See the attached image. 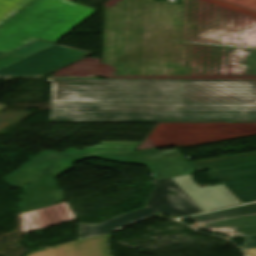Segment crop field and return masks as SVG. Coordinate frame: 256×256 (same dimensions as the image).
I'll use <instances>...</instances> for the list:
<instances>
[{
	"label": "crop field",
	"mask_w": 256,
	"mask_h": 256,
	"mask_svg": "<svg viewBox=\"0 0 256 256\" xmlns=\"http://www.w3.org/2000/svg\"><path fill=\"white\" fill-rule=\"evenodd\" d=\"M52 102L239 103L237 80H53Z\"/></svg>",
	"instance_id": "1"
},
{
	"label": "crop field",
	"mask_w": 256,
	"mask_h": 256,
	"mask_svg": "<svg viewBox=\"0 0 256 256\" xmlns=\"http://www.w3.org/2000/svg\"><path fill=\"white\" fill-rule=\"evenodd\" d=\"M51 122L256 123V104L52 103Z\"/></svg>",
	"instance_id": "2"
},
{
	"label": "crop field",
	"mask_w": 256,
	"mask_h": 256,
	"mask_svg": "<svg viewBox=\"0 0 256 256\" xmlns=\"http://www.w3.org/2000/svg\"><path fill=\"white\" fill-rule=\"evenodd\" d=\"M31 0H0V24ZM97 9L68 0H35L0 30L55 42ZM35 39L0 31V52H11Z\"/></svg>",
	"instance_id": "3"
},
{
	"label": "crop field",
	"mask_w": 256,
	"mask_h": 256,
	"mask_svg": "<svg viewBox=\"0 0 256 256\" xmlns=\"http://www.w3.org/2000/svg\"><path fill=\"white\" fill-rule=\"evenodd\" d=\"M142 142L101 141L100 145L86 147L82 151L68 149L63 153L45 151L4 177L10 186L23 188L24 195H20L18 203L22 212L64 201V193L58 190L55 178L74 167L72 164L85 158H100L115 154L134 152ZM41 178L25 187L27 183L41 176ZM15 176V178H13ZM25 185V186H24ZM41 187V189H39ZM47 199L49 201H44Z\"/></svg>",
	"instance_id": "4"
},
{
	"label": "crop field",
	"mask_w": 256,
	"mask_h": 256,
	"mask_svg": "<svg viewBox=\"0 0 256 256\" xmlns=\"http://www.w3.org/2000/svg\"><path fill=\"white\" fill-rule=\"evenodd\" d=\"M153 183L155 187L145 208L123 214L99 225L79 223L78 239L111 233L140 220L153 217L156 213L176 218L203 212L171 178L153 181ZM170 191L177 195H168Z\"/></svg>",
	"instance_id": "5"
},
{
	"label": "crop field",
	"mask_w": 256,
	"mask_h": 256,
	"mask_svg": "<svg viewBox=\"0 0 256 256\" xmlns=\"http://www.w3.org/2000/svg\"><path fill=\"white\" fill-rule=\"evenodd\" d=\"M195 171L210 169L242 202L256 200V152L192 162Z\"/></svg>",
	"instance_id": "6"
},
{
	"label": "crop field",
	"mask_w": 256,
	"mask_h": 256,
	"mask_svg": "<svg viewBox=\"0 0 256 256\" xmlns=\"http://www.w3.org/2000/svg\"><path fill=\"white\" fill-rule=\"evenodd\" d=\"M92 53L54 45L25 59L8 54L0 58V76H45Z\"/></svg>",
	"instance_id": "7"
},
{
	"label": "crop field",
	"mask_w": 256,
	"mask_h": 256,
	"mask_svg": "<svg viewBox=\"0 0 256 256\" xmlns=\"http://www.w3.org/2000/svg\"><path fill=\"white\" fill-rule=\"evenodd\" d=\"M192 177L188 175L172 179L204 212L241 203L223 184L200 188L191 179Z\"/></svg>",
	"instance_id": "8"
},
{
	"label": "crop field",
	"mask_w": 256,
	"mask_h": 256,
	"mask_svg": "<svg viewBox=\"0 0 256 256\" xmlns=\"http://www.w3.org/2000/svg\"><path fill=\"white\" fill-rule=\"evenodd\" d=\"M67 203L22 214V234L75 221Z\"/></svg>",
	"instance_id": "9"
},
{
	"label": "crop field",
	"mask_w": 256,
	"mask_h": 256,
	"mask_svg": "<svg viewBox=\"0 0 256 256\" xmlns=\"http://www.w3.org/2000/svg\"><path fill=\"white\" fill-rule=\"evenodd\" d=\"M113 234L82 239L78 245L51 249L52 256H110L108 241Z\"/></svg>",
	"instance_id": "10"
},
{
	"label": "crop field",
	"mask_w": 256,
	"mask_h": 256,
	"mask_svg": "<svg viewBox=\"0 0 256 256\" xmlns=\"http://www.w3.org/2000/svg\"><path fill=\"white\" fill-rule=\"evenodd\" d=\"M134 165H142L148 167L154 175V180L188 175L195 172L184 158V156L142 162Z\"/></svg>",
	"instance_id": "11"
},
{
	"label": "crop field",
	"mask_w": 256,
	"mask_h": 256,
	"mask_svg": "<svg viewBox=\"0 0 256 256\" xmlns=\"http://www.w3.org/2000/svg\"><path fill=\"white\" fill-rule=\"evenodd\" d=\"M198 225L203 229L221 232L230 237L256 235V216L220 220Z\"/></svg>",
	"instance_id": "12"
},
{
	"label": "crop field",
	"mask_w": 256,
	"mask_h": 256,
	"mask_svg": "<svg viewBox=\"0 0 256 256\" xmlns=\"http://www.w3.org/2000/svg\"><path fill=\"white\" fill-rule=\"evenodd\" d=\"M178 155H182L178 149L164 151V152H158L156 149H153V150L142 151L137 153L110 156V157H105L100 159L131 164V163L142 162V161H147V160H152V159H157L162 157L178 156Z\"/></svg>",
	"instance_id": "13"
},
{
	"label": "crop field",
	"mask_w": 256,
	"mask_h": 256,
	"mask_svg": "<svg viewBox=\"0 0 256 256\" xmlns=\"http://www.w3.org/2000/svg\"><path fill=\"white\" fill-rule=\"evenodd\" d=\"M254 213H256V203L229 209V210H225V211L194 216L191 218L195 222H202V221H208V220H214V219H220V218H226V217H233V216H240V215H247V214H254Z\"/></svg>",
	"instance_id": "14"
},
{
	"label": "crop field",
	"mask_w": 256,
	"mask_h": 256,
	"mask_svg": "<svg viewBox=\"0 0 256 256\" xmlns=\"http://www.w3.org/2000/svg\"><path fill=\"white\" fill-rule=\"evenodd\" d=\"M240 103H256V80H238Z\"/></svg>",
	"instance_id": "15"
},
{
	"label": "crop field",
	"mask_w": 256,
	"mask_h": 256,
	"mask_svg": "<svg viewBox=\"0 0 256 256\" xmlns=\"http://www.w3.org/2000/svg\"><path fill=\"white\" fill-rule=\"evenodd\" d=\"M54 44H51V43H47V42H43V41H39V40H36L24 47H21L13 52H11V54H14V55H17L19 57H22V58H25L31 54H34L38 51H41L47 47H50Z\"/></svg>",
	"instance_id": "16"
},
{
	"label": "crop field",
	"mask_w": 256,
	"mask_h": 256,
	"mask_svg": "<svg viewBox=\"0 0 256 256\" xmlns=\"http://www.w3.org/2000/svg\"><path fill=\"white\" fill-rule=\"evenodd\" d=\"M80 240L78 241H75V242H71V243H67V244H78ZM63 245H66V244H63ZM59 246H62V245H59ZM55 247H58V246H55ZM51 248H54V247H51ZM51 248H48V249H44L42 251H38L36 253H32V254H29L28 256H47V255H51V251L50 249Z\"/></svg>",
	"instance_id": "17"
},
{
	"label": "crop field",
	"mask_w": 256,
	"mask_h": 256,
	"mask_svg": "<svg viewBox=\"0 0 256 256\" xmlns=\"http://www.w3.org/2000/svg\"><path fill=\"white\" fill-rule=\"evenodd\" d=\"M256 247V236L247 237L245 244L243 245V249L247 248H255Z\"/></svg>",
	"instance_id": "18"
},
{
	"label": "crop field",
	"mask_w": 256,
	"mask_h": 256,
	"mask_svg": "<svg viewBox=\"0 0 256 256\" xmlns=\"http://www.w3.org/2000/svg\"><path fill=\"white\" fill-rule=\"evenodd\" d=\"M247 255L249 256H256V248L255 249H247V250H244Z\"/></svg>",
	"instance_id": "19"
},
{
	"label": "crop field",
	"mask_w": 256,
	"mask_h": 256,
	"mask_svg": "<svg viewBox=\"0 0 256 256\" xmlns=\"http://www.w3.org/2000/svg\"><path fill=\"white\" fill-rule=\"evenodd\" d=\"M7 106L1 105L0 104V111H2L3 109H5Z\"/></svg>",
	"instance_id": "20"
},
{
	"label": "crop field",
	"mask_w": 256,
	"mask_h": 256,
	"mask_svg": "<svg viewBox=\"0 0 256 256\" xmlns=\"http://www.w3.org/2000/svg\"><path fill=\"white\" fill-rule=\"evenodd\" d=\"M254 215H256V214H254ZM247 216H250V215H247ZM240 217H242V216H240ZM234 218V217H233Z\"/></svg>",
	"instance_id": "21"
},
{
	"label": "crop field",
	"mask_w": 256,
	"mask_h": 256,
	"mask_svg": "<svg viewBox=\"0 0 256 256\" xmlns=\"http://www.w3.org/2000/svg\"><path fill=\"white\" fill-rule=\"evenodd\" d=\"M3 53H0V55H2Z\"/></svg>",
	"instance_id": "22"
}]
</instances>
